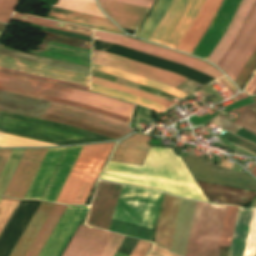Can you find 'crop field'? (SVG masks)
<instances>
[{"label":"crop field","mask_w":256,"mask_h":256,"mask_svg":"<svg viewBox=\"0 0 256 256\" xmlns=\"http://www.w3.org/2000/svg\"><path fill=\"white\" fill-rule=\"evenodd\" d=\"M88 207L89 206H86V208L85 206H67L66 210L64 211L62 217L60 218L59 222L54 228L46 244L44 245L39 256H56L65 239L67 238L68 234L72 230L73 226L75 225L76 221L78 220L79 216L85 208L76 225L74 226L73 230L71 231L62 248L60 249L59 253L57 254V256H60L69 239L71 238L72 234L74 233L75 229L77 228L79 222L81 221L82 217L87 211Z\"/></svg>","instance_id":"17"},{"label":"crop field","mask_w":256,"mask_h":256,"mask_svg":"<svg viewBox=\"0 0 256 256\" xmlns=\"http://www.w3.org/2000/svg\"><path fill=\"white\" fill-rule=\"evenodd\" d=\"M255 48L256 1L254 2L238 35L218 63V66L234 81Z\"/></svg>","instance_id":"9"},{"label":"crop field","mask_w":256,"mask_h":256,"mask_svg":"<svg viewBox=\"0 0 256 256\" xmlns=\"http://www.w3.org/2000/svg\"><path fill=\"white\" fill-rule=\"evenodd\" d=\"M115 256H129V255H125V254L116 252Z\"/></svg>","instance_id":"56"},{"label":"crop field","mask_w":256,"mask_h":256,"mask_svg":"<svg viewBox=\"0 0 256 256\" xmlns=\"http://www.w3.org/2000/svg\"><path fill=\"white\" fill-rule=\"evenodd\" d=\"M255 89H256V73L254 74V76L252 77V79L250 80L248 85L246 86L245 91L249 95H252V93L254 92Z\"/></svg>","instance_id":"52"},{"label":"crop field","mask_w":256,"mask_h":256,"mask_svg":"<svg viewBox=\"0 0 256 256\" xmlns=\"http://www.w3.org/2000/svg\"><path fill=\"white\" fill-rule=\"evenodd\" d=\"M9 113L0 111V131ZM3 133L53 143L71 145L112 140L75 128L10 113L2 129Z\"/></svg>","instance_id":"3"},{"label":"crop field","mask_w":256,"mask_h":256,"mask_svg":"<svg viewBox=\"0 0 256 256\" xmlns=\"http://www.w3.org/2000/svg\"><path fill=\"white\" fill-rule=\"evenodd\" d=\"M92 70L104 72V73L111 74V75H114V76H117V77H121V78L130 80V81H134V82H137V83H140V84H143V85H147V86H150V87H153V88H157V89L163 90V91H165L169 94H172V95H174V96H176L180 99H182L185 95H187V94H185L181 91L175 90V89L170 88L168 86H165V85H162V84H159V83H155V82H152V81L140 78V77H136V76H133V75H130V74L118 71V70H114V69H111V68H108V67L92 64Z\"/></svg>","instance_id":"33"},{"label":"crop field","mask_w":256,"mask_h":256,"mask_svg":"<svg viewBox=\"0 0 256 256\" xmlns=\"http://www.w3.org/2000/svg\"><path fill=\"white\" fill-rule=\"evenodd\" d=\"M150 139L143 134H134L119 143L110 160L142 165L151 148L147 145Z\"/></svg>","instance_id":"24"},{"label":"crop field","mask_w":256,"mask_h":256,"mask_svg":"<svg viewBox=\"0 0 256 256\" xmlns=\"http://www.w3.org/2000/svg\"><path fill=\"white\" fill-rule=\"evenodd\" d=\"M0 85L73 101L125 117H131L133 105L79 89L37 81L0 72Z\"/></svg>","instance_id":"4"},{"label":"crop field","mask_w":256,"mask_h":256,"mask_svg":"<svg viewBox=\"0 0 256 256\" xmlns=\"http://www.w3.org/2000/svg\"><path fill=\"white\" fill-rule=\"evenodd\" d=\"M94 39L112 43V44H117L130 49H134V50L148 53L154 56H158V57L172 60L178 63H182L192 68H195L199 71H202L215 79L221 76H224L221 72H219L218 70L206 64L203 61L196 60L192 57L179 54L162 47L150 45L145 42H141V41H137V40H133V39H129V38L97 31V30H94Z\"/></svg>","instance_id":"10"},{"label":"crop field","mask_w":256,"mask_h":256,"mask_svg":"<svg viewBox=\"0 0 256 256\" xmlns=\"http://www.w3.org/2000/svg\"><path fill=\"white\" fill-rule=\"evenodd\" d=\"M65 208L66 206L55 205L54 209L52 210L51 214L49 215L48 219L46 220L45 224L43 225L42 229L40 230L39 234L37 235L25 256H38Z\"/></svg>","instance_id":"31"},{"label":"crop field","mask_w":256,"mask_h":256,"mask_svg":"<svg viewBox=\"0 0 256 256\" xmlns=\"http://www.w3.org/2000/svg\"><path fill=\"white\" fill-rule=\"evenodd\" d=\"M101 179L157 188L176 196H205L172 149L152 147L143 166L109 161Z\"/></svg>","instance_id":"1"},{"label":"crop field","mask_w":256,"mask_h":256,"mask_svg":"<svg viewBox=\"0 0 256 256\" xmlns=\"http://www.w3.org/2000/svg\"><path fill=\"white\" fill-rule=\"evenodd\" d=\"M13 149H0V151H12ZM11 152H0V174L10 156Z\"/></svg>","instance_id":"51"},{"label":"crop field","mask_w":256,"mask_h":256,"mask_svg":"<svg viewBox=\"0 0 256 256\" xmlns=\"http://www.w3.org/2000/svg\"><path fill=\"white\" fill-rule=\"evenodd\" d=\"M252 210L239 207L229 256H243Z\"/></svg>","instance_id":"30"},{"label":"crop field","mask_w":256,"mask_h":256,"mask_svg":"<svg viewBox=\"0 0 256 256\" xmlns=\"http://www.w3.org/2000/svg\"><path fill=\"white\" fill-rule=\"evenodd\" d=\"M214 119H216V120H218V121H220V122H222L224 124H227V125L235 128V129H237V130H239V128H240V126H238V125H236V124H234V123H232V122H230V121H228L226 119H223V118H221L219 116L214 117ZM214 119H211L210 122H212V123H214V124L224 128V129H226V130H228V131H230V132H232L234 134L237 132V130H235V129L227 126V125H224V124H222V123H220V122H218V121H216Z\"/></svg>","instance_id":"47"},{"label":"crop field","mask_w":256,"mask_h":256,"mask_svg":"<svg viewBox=\"0 0 256 256\" xmlns=\"http://www.w3.org/2000/svg\"><path fill=\"white\" fill-rule=\"evenodd\" d=\"M254 1L255 0H242L227 32L222 37L218 45L215 47L211 55L208 57L209 61L217 65V63L237 35Z\"/></svg>","instance_id":"27"},{"label":"crop field","mask_w":256,"mask_h":256,"mask_svg":"<svg viewBox=\"0 0 256 256\" xmlns=\"http://www.w3.org/2000/svg\"><path fill=\"white\" fill-rule=\"evenodd\" d=\"M12 19L21 21V22H25V23H29V24L38 25V26L48 27V28L62 30V31L71 32V33H75V34H80V35H85V36H89V37H91V34H92V31L88 30L89 28L88 29L79 28L80 26L75 27V26H71V25L57 23V22L44 20V19H40V18H35V17L27 16V15L18 14V13H14Z\"/></svg>","instance_id":"32"},{"label":"crop field","mask_w":256,"mask_h":256,"mask_svg":"<svg viewBox=\"0 0 256 256\" xmlns=\"http://www.w3.org/2000/svg\"><path fill=\"white\" fill-rule=\"evenodd\" d=\"M38 201H21L0 237V256H9L39 206Z\"/></svg>","instance_id":"19"},{"label":"crop field","mask_w":256,"mask_h":256,"mask_svg":"<svg viewBox=\"0 0 256 256\" xmlns=\"http://www.w3.org/2000/svg\"><path fill=\"white\" fill-rule=\"evenodd\" d=\"M47 148L26 149L3 196L22 199Z\"/></svg>","instance_id":"16"},{"label":"crop field","mask_w":256,"mask_h":256,"mask_svg":"<svg viewBox=\"0 0 256 256\" xmlns=\"http://www.w3.org/2000/svg\"><path fill=\"white\" fill-rule=\"evenodd\" d=\"M122 185L99 182L86 225L108 229Z\"/></svg>","instance_id":"15"},{"label":"crop field","mask_w":256,"mask_h":256,"mask_svg":"<svg viewBox=\"0 0 256 256\" xmlns=\"http://www.w3.org/2000/svg\"><path fill=\"white\" fill-rule=\"evenodd\" d=\"M244 98H248V96H246L244 93L233 98L235 101H238V100H241V99H244Z\"/></svg>","instance_id":"54"},{"label":"crop field","mask_w":256,"mask_h":256,"mask_svg":"<svg viewBox=\"0 0 256 256\" xmlns=\"http://www.w3.org/2000/svg\"><path fill=\"white\" fill-rule=\"evenodd\" d=\"M48 17L121 33L109 19L97 16L52 7Z\"/></svg>","instance_id":"28"},{"label":"crop field","mask_w":256,"mask_h":256,"mask_svg":"<svg viewBox=\"0 0 256 256\" xmlns=\"http://www.w3.org/2000/svg\"><path fill=\"white\" fill-rule=\"evenodd\" d=\"M0 200H1V198H0Z\"/></svg>","instance_id":"61"},{"label":"crop field","mask_w":256,"mask_h":256,"mask_svg":"<svg viewBox=\"0 0 256 256\" xmlns=\"http://www.w3.org/2000/svg\"><path fill=\"white\" fill-rule=\"evenodd\" d=\"M77 1H82V2H86V3H90V4L96 5L94 0H77Z\"/></svg>","instance_id":"55"},{"label":"crop field","mask_w":256,"mask_h":256,"mask_svg":"<svg viewBox=\"0 0 256 256\" xmlns=\"http://www.w3.org/2000/svg\"><path fill=\"white\" fill-rule=\"evenodd\" d=\"M254 94H256V90H255V92L253 93V95H254Z\"/></svg>","instance_id":"59"},{"label":"crop field","mask_w":256,"mask_h":256,"mask_svg":"<svg viewBox=\"0 0 256 256\" xmlns=\"http://www.w3.org/2000/svg\"><path fill=\"white\" fill-rule=\"evenodd\" d=\"M47 101L0 91V110L40 119ZM43 120L82 128L100 135L117 139L133 132L128 123L86 110L48 102Z\"/></svg>","instance_id":"2"},{"label":"crop field","mask_w":256,"mask_h":256,"mask_svg":"<svg viewBox=\"0 0 256 256\" xmlns=\"http://www.w3.org/2000/svg\"><path fill=\"white\" fill-rule=\"evenodd\" d=\"M53 144H48L44 142H39L35 140L25 139L21 137H16L12 135H7L0 133V147H12V146H51Z\"/></svg>","instance_id":"41"},{"label":"crop field","mask_w":256,"mask_h":256,"mask_svg":"<svg viewBox=\"0 0 256 256\" xmlns=\"http://www.w3.org/2000/svg\"><path fill=\"white\" fill-rule=\"evenodd\" d=\"M251 207H256V198L254 199Z\"/></svg>","instance_id":"57"},{"label":"crop field","mask_w":256,"mask_h":256,"mask_svg":"<svg viewBox=\"0 0 256 256\" xmlns=\"http://www.w3.org/2000/svg\"><path fill=\"white\" fill-rule=\"evenodd\" d=\"M82 146L69 147L43 200L55 202Z\"/></svg>","instance_id":"29"},{"label":"crop field","mask_w":256,"mask_h":256,"mask_svg":"<svg viewBox=\"0 0 256 256\" xmlns=\"http://www.w3.org/2000/svg\"><path fill=\"white\" fill-rule=\"evenodd\" d=\"M180 201L179 198L164 196L154 242L168 249L171 248Z\"/></svg>","instance_id":"21"},{"label":"crop field","mask_w":256,"mask_h":256,"mask_svg":"<svg viewBox=\"0 0 256 256\" xmlns=\"http://www.w3.org/2000/svg\"><path fill=\"white\" fill-rule=\"evenodd\" d=\"M182 158L195 179L256 190V181L247 174L226 170L207 159Z\"/></svg>","instance_id":"12"},{"label":"crop field","mask_w":256,"mask_h":256,"mask_svg":"<svg viewBox=\"0 0 256 256\" xmlns=\"http://www.w3.org/2000/svg\"><path fill=\"white\" fill-rule=\"evenodd\" d=\"M0 90L3 91H8V92H12V93H17V94H22V95H27V96H32V97H36V98H41V99H46V100H50V101H54V102H58V103H62V104H66V105H70V106H74V107H78V108H82V109H86L89 111H93L99 114H103L106 116H110L113 118H117L123 121H129V118H125L119 115H115L109 112H105L99 109H95L89 106H85V105H81V104H77V103H73V102H68V101H64V100H59V99H55V98H51V97H46V96H42V95H38V94H33V93H29V92H24V91H20V90H16V89H11V88H7V87H3L0 86Z\"/></svg>","instance_id":"36"},{"label":"crop field","mask_w":256,"mask_h":256,"mask_svg":"<svg viewBox=\"0 0 256 256\" xmlns=\"http://www.w3.org/2000/svg\"><path fill=\"white\" fill-rule=\"evenodd\" d=\"M255 67H256V50L254 51V53L252 54V56L250 57V59L245 64V66L243 67V69L241 70V72L239 73V75L234 81L239 86V88L243 86V84L248 79V77L250 76L252 71L255 69Z\"/></svg>","instance_id":"43"},{"label":"crop field","mask_w":256,"mask_h":256,"mask_svg":"<svg viewBox=\"0 0 256 256\" xmlns=\"http://www.w3.org/2000/svg\"><path fill=\"white\" fill-rule=\"evenodd\" d=\"M150 8L154 0H114Z\"/></svg>","instance_id":"50"},{"label":"crop field","mask_w":256,"mask_h":256,"mask_svg":"<svg viewBox=\"0 0 256 256\" xmlns=\"http://www.w3.org/2000/svg\"><path fill=\"white\" fill-rule=\"evenodd\" d=\"M150 246L151 243L139 240L131 256H145Z\"/></svg>","instance_id":"48"},{"label":"crop field","mask_w":256,"mask_h":256,"mask_svg":"<svg viewBox=\"0 0 256 256\" xmlns=\"http://www.w3.org/2000/svg\"><path fill=\"white\" fill-rule=\"evenodd\" d=\"M222 0H206L194 23L177 47V50L191 53L204 31L208 27Z\"/></svg>","instance_id":"23"},{"label":"crop field","mask_w":256,"mask_h":256,"mask_svg":"<svg viewBox=\"0 0 256 256\" xmlns=\"http://www.w3.org/2000/svg\"><path fill=\"white\" fill-rule=\"evenodd\" d=\"M24 149H14L1 176H0V196L2 195Z\"/></svg>","instance_id":"39"},{"label":"crop field","mask_w":256,"mask_h":256,"mask_svg":"<svg viewBox=\"0 0 256 256\" xmlns=\"http://www.w3.org/2000/svg\"><path fill=\"white\" fill-rule=\"evenodd\" d=\"M91 83L101 85V86H104V87H107V88H111V89H114V90H117V91H121V92H124V93H127V94H131V95H134V96H137V97H141V98H144V99H147V100H151V101H154L158 104H161V105H163L167 108H169L170 106L173 105V103L168 102V101H166L164 99H161L159 97L149 95V94H146V93H143V92H139V91H136V90H133V89H130V88H126V87H123V86H120V85H117V84H113V83H110V82H107V81H103V80H100V79H97V78L92 77Z\"/></svg>","instance_id":"35"},{"label":"crop field","mask_w":256,"mask_h":256,"mask_svg":"<svg viewBox=\"0 0 256 256\" xmlns=\"http://www.w3.org/2000/svg\"><path fill=\"white\" fill-rule=\"evenodd\" d=\"M162 195L123 185L112 218L151 229Z\"/></svg>","instance_id":"7"},{"label":"crop field","mask_w":256,"mask_h":256,"mask_svg":"<svg viewBox=\"0 0 256 256\" xmlns=\"http://www.w3.org/2000/svg\"><path fill=\"white\" fill-rule=\"evenodd\" d=\"M124 237L113 234L101 256H114Z\"/></svg>","instance_id":"45"},{"label":"crop field","mask_w":256,"mask_h":256,"mask_svg":"<svg viewBox=\"0 0 256 256\" xmlns=\"http://www.w3.org/2000/svg\"><path fill=\"white\" fill-rule=\"evenodd\" d=\"M0 71L9 72V73L17 74V75H22V76H26V77H30V78H35V79H39V80H44V81H48V82H52V83H57V84L70 86V87H74V88H79V89H84V90L89 91V88L83 87V86H78V85H74V84H69V83H65V82H60V81H56V80H51V79H47V78H42V77L29 75V74H25V73H20V72H16V71H11V70H7V69H2V68H0Z\"/></svg>","instance_id":"46"},{"label":"crop field","mask_w":256,"mask_h":256,"mask_svg":"<svg viewBox=\"0 0 256 256\" xmlns=\"http://www.w3.org/2000/svg\"><path fill=\"white\" fill-rule=\"evenodd\" d=\"M254 101L252 99L239 102L237 104L232 105L231 107L227 108L223 112L227 113L228 111H231L241 105L253 103ZM246 108H248L254 115H256V103L245 105ZM244 106H241L233 111L239 112L241 115L237 118L235 123L252 130L256 132V116H254L248 109H246Z\"/></svg>","instance_id":"34"},{"label":"crop field","mask_w":256,"mask_h":256,"mask_svg":"<svg viewBox=\"0 0 256 256\" xmlns=\"http://www.w3.org/2000/svg\"><path fill=\"white\" fill-rule=\"evenodd\" d=\"M93 55H96V63L99 65L108 66L118 69L133 75H137L155 82H159L174 88L180 87L188 79L162 69L138 63L115 55L93 50ZM93 63V62H92Z\"/></svg>","instance_id":"11"},{"label":"crop field","mask_w":256,"mask_h":256,"mask_svg":"<svg viewBox=\"0 0 256 256\" xmlns=\"http://www.w3.org/2000/svg\"><path fill=\"white\" fill-rule=\"evenodd\" d=\"M79 4H81V6H79ZM54 7H59V8H63V9H68V10L78 11V12H82V13L106 17L98 9L97 6L85 4V3H81V2H76V1H72V0H59V2Z\"/></svg>","instance_id":"38"},{"label":"crop field","mask_w":256,"mask_h":256,"mask_svg":"<svg viewBox=\"0 0 256 256\" xmlns=\"http://www.w3.org/2000/svg\"><path fill=\"white\" fill-rule=\"evenodd\" d=\"M113 144L83 146L56 202L84 204Z\"/></svg>","instance_id":"5"},{"label":"crop field","mask_w":256,"mask_h":256,"mask_svg":"<svg viewBox=\"0 0 256 256\" xmlns=\"http://www.w3.org/2000/svg\"><path fill=\"white\" fill-rule=\"evenodd\" d=\"M17 0H0V22L7 23Z\"/></svg>","instance_id":"44"},{"label":"crop field","mask_w":256,"mask_h":256,"mask_svg":"<svg viewBox=\"0 0 256 256\" xmlns=\"http://www.w3.org/2000/svg\"><path fill=\"white\" fill-rule=\"evenodd\" d=\"M148 256H178V255H175L167 250H164V249L154 245L152 250L148 254Z\"/></svg>","instance_id":"49"},{"label":"crop field","mask_w":256,"mask_h":256,"mask_svg":"<svg viewBox=\"0 0 256 256\" xmlns=\"http://www.w3.org/2000/svg\"><path fill=\"white\" fill-rule=\"evenodd\" d=\"M17 200L2 198L0 202V231L17 205Z\"/></svg>","instance_id":"42"},{"label":"crop field","mask_w":256,"mask_h":256,"mask_svg":"<svg viewBox=\"0 0 256 256\" xmlns=\"http://www.w3.org/2000/svg\"><path fill=\"white\" fill-rule=\"evenodd\" d=\"M65 147L49 148L24 199H40Z\"/></svg>","instance_id":"25"},{"label":"crop field","mask_w":256,"mask_h":256,"mask_svg":"<svg viewBox=\"0 0 256 256\" xmlns=\"http://www.w3.org/2000/svg\"><path fill=\"white\" fill-rule=\"evenodd\" d=\"M0 67L89 87L90 75L0 55Z\"/></svg>","instance_id":"14"},{"label":"crop field","mask_w":256,"mask_h":256,"mask_svg":"<svg viewBox=\"0 0 256 256\" xmlns=\"http://www.w3.org/2000/svg\"><path fill=\"white\" fill-rule=\"evenodd\" d=\"M241 0H225L211 28L204 36L193 55L207 59L224 35Z\"/></svg>","instance_id":"20"},{"label":"crop field","mask_w":256,"mask_h":256,"mask_svg":"<svg viewBox=\"0 0 256 256\" xmlns=\"http://www.w3.org/2000/svg\"><path fill=\"white\" fill-rule=\"evenodd\" d=\"M238 207L228 206L219 245L230 246Z\"/></svg>","instance_id":"40"},{"label":"crop field","mask_w":256,"mask_h":256,"mask_svg":"<svg viewBox=\"0 0 256 256\" xmlns=\"http://www.w3.org/2000/svg\"><path fill=\"white\" fill-rule=\"evenodd\" d=\"M102 9L114 19L120 26L137 29L149 9L134 5L114 2L110 0H99Z\"/></svg>","instance_id":"22"},{"label":"crop field","mask_w":256,"mask_h":256,"mask_svg":"<svg viewBox=\"0 0 256 256\" xmlns=\"http://www.w3.org/2000/svg\"><path fill=\"white\" fill-rule=\"evenodd\" d=\"M220 81H222L228 88H230L236 94V87L226 77L220 79Z\"/></svg>","instance_id":"53"},{"label":"crop field","mask_w":256,"mask_h":256,"mask_svg":"<svg viewBox=\"0 0 256 256\" xmlns=\"http://www.w3.org/2000/svg\"><path fill=\"white\" fill-rule=\"evenodd\" d=\"M205 0H173L149 41L176 49Z\"/></svg>","instance_id":"8"},{"label":"crop field","mask_w":256,"mask_h":256,"mask_svg":"<svg viewBox=\"0 0 256 256\" xmlns=\"http://www.w3.org/2000/svg\"><path fill=\"white\" fill-rule=\"evenodd\" d=\"M53 204L41 202L10 256H24L53 209Z\"/></svg>","instance_id":"26"},{"label":"crop field","mask_w":256,"mask_h":256,"mask_svg":"<svg viewBox=\"0 0 256 256\" xmlns=\"http://www.w3.org/2000/svg\"><path fill=\"white\" fill-rule=\"evenodd\" d=\"M116 45H112V44H108V43H104L96 40L93 41V49L95 50L115 54L118 56H122L128 59H132L138 62L148 64V65H152L158 68H162L168 71H172L184 77H187L195 82H198L202 85L210 82L209 80L202 77L204 74L196 70H193L185 65L178 64L172 61H168L165 59H161L158 57H154L148 54H144L141 52H137V51L130 50L124 47L116 46Z\"/></svg>","instance_id":"13"},{"label":"crop field","mask_w":256,"mask_h":256,"mask_svg":"<svg viewBox=\"0 0 256 256\" xmlns=\"http://www.w3.org/2000/svg\"><path fill=\"white\" fill-rule=\"evenodd\" d=\"M112 233L80 225L62 256H100Z\"/></svg>","instance_id":"18"},{"label":"crop field","mask_w":256,"mask_h":256,"mask_svg":"<svg viewBox=\"0 0 256 256\" xmlns=\"http://www.w3.org/2000/svg\"><path fill=\"white\" fill-rule=\"evenodd\" d=\"M252 174H254L256 176V167L253 168Z\"/></svg>","instance_id":"58"},{"label":"crop field","mask_w":256,"mask_h":256,"mask_svg":"<svg viewBox=\"0 0 256 256\" xmlns=\"http://www.w3.org/2000/svg\"><path fill=\"white\" fill-rule=\"evenodd\" d=\"M91 89L95 90L97 92H101V93H104V94H107V95H111V96L126 100V101H130V102H133V103H136V104H140V105H143V106L150 107V108L155 109L159 112H163L167 109V108H165L163 106H160V105H158L154 102L147 101V100H144V99H141V98H137V97H134V96H131V95H127V94H124V93H121V92H117V91H114V90H111V89H107V88H104V87H101V86L91 84Z\"/></svg>","instance_id":"37"},{"label":"crop field","mask_w":256,"mask_h":256,"mask_svg":"<svg viewBox=\"0 0 256 256\" xmlns=\"http://www.w3.org/2000/svg\"><path fill=\"white\" fill-rule=\"evenodd\" d=\"M254 101H256V98H253Z\"/></svg>","instance_id":"60"},{"label":"crop field","mask_w":256,"mask_h":256,"mask_svg":"<svg viewBox=\"0 0 256 256\" xmlns=\"http://www.w3.org/2000/svg\"><path fill=\"white\" fill-rule=\"evenodd\" d=\"M226 208L197 202L185 256H216Z\"/></svg>","instance_id":"6"}]
</instances>
